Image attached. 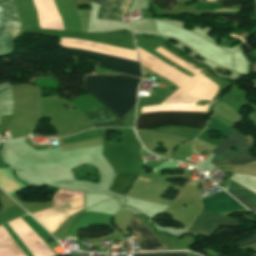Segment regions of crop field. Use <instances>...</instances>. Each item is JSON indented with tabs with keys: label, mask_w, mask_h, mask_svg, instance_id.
Here are the masks:
<instances>
[{
	"label": "crop field",
	"mask_w": 256,
	"mask_h": 256,
	"mask_svg": "<svg viewBox=\"0 0 256 256\" xmlns=\"http://www.w3.org/2000/svg\"><path fill=\"white\" fill-rule=\"evenodd\" d=\"M140 81V78L126 75H94L87 76L81 87L103 102L123 121L136 103Z\"/></svg>",
	"instance_id": "8a807250"
},
{
	"label": "crop field",
	"mask_w": 256,
	"mask_h": 256,
	"mask_svg": "<svg viewBox=\"0 0 256 256\" xmlns=\"http://www.w3.org/2000/svg\"><path fill=\"white\" fill-rule=\"evenodd\" d=\"M206 113L155 112L141 114L136 120V129H153L161 126H184L202 129Z\"/></svg>",
	"instance_id": "ac0d7876"
},
{
	"label": "crop field",
	"mask_w": 256,
	"mask_h": 256,
	"mask_svg": "<svg viewBox=\"0 0 256 256\" xmlns=\"http://www.w3.org/2000/svg\"><path fill=\"white\" fill-rule=\"evenodd\" d=\"M228 140H224L212 153L216 154L211 164L228 160L231 165L249 164L256 161V157H252L249 149V143L245 136L231 129L227 135ZM236 147L237 151L230 150Z\"/></svg>",
	"instance_id": "34b2d1b8"
},
{
	"label": "crop field",
	"mask_w": 256,
	"mask_h": 256,
	"mask_svg": "<svg viewBox=\"0 0 256 256\" xmlns=\"http://www.w3.org/2000/svg\"><path fill=\"white\" fill-rule=\"evenodd\" d=\"M4 3H5V6L9 12L11 18H12V29H11V19L7 13ZM4 3L3 2L0 3V13L4 20V25H3L2 17L0 15V33H1L2 25H3V30H2V34H1V38H0V56L4 55V53H5L6 43H7L8 37H9L10 29H11V33H10V37L8 39V44H7V49H6L5 55L13 54L19 27L21 24V22L17 16V13L15 11V8L12 4V1L11 0L6 1Z\"/></svg>",
	"instance_id": "412701ff"
},
{
	"label": "crop field",
	"mask_w": 256,
	"mask_h": 256,
	"mask_svg": "<svg viewBox=\"0 0 256 256\" xmlns=\"http://www.w3.org/2000/svg\"><path fill=\"white\" fill-rule=\"evenodd\" d=\"M238 224V219L202 211L188 231L210 237L218 226L228 225L235 227Z\"/></svg>",
	"instance_id": "f4fd0767"
},
{
	"label": "crop field",
	"mask_w": 256,
	"mask_h": 256,
	"mask_svg": "<svg viewBox=\"0 0 256 256\" xmlns=\"http://www.w3.org/2000/svg\"><path fill=\"white\" fill-rule=\"evenodd\" d=\"M69 50L73 53H79L81 55L90 56V57H93V54H94L90 52H84V51H78V50H72V49H69ZM93 58L100 60V62L97 64L98 66L142 78L140 67L137 62L113 58V57H109V56H105L97 53L94 54Z\"/></svg>",
	"instance_id": "dd49c442"
},
{
	"label": "crop field",
	"mask_w": 256,
	"mask_h": 256,
	"mask_svg": "<svg viewBox=\"0 0 256 256\" xmlns=\"http://www.w3.org/2000/svg\"><path fill=\"white\" fill-rule=\"evenodd\" d=\"M130 229L140 234L141 251L167 249L135 215L132 216Z\"/></svg>",
	"instance_id": "e52e79f7"
},
{
	"label": "crop field",
	"mask_w": 256,
	"mask_h": 256,
	"mask_svg": "<svg viewBox=\"0 0 256 256\" xmlns=\"http://www.w3.org/2000/svg\"><path fill=\"white\" fill-rule=\"evenodd\" d=\"M202 201L204 210L216 213L245 208L225 192L208 197Z\"/></svg>",
	"instance_id": "d8731c3e"
},
{
	"label": "crop field",
	"mask_w": 256,
	"mask_h": 256,
	"mask_svg": "<svg viewBox=\"0 0 256 256\" xmlns=\"http://www.w3.org/2000/svg\"><path fill=\"white\" fill-rule=\"evenodd\" d=\"M229 190L253 201L256 203V194L252 193L251 191L239 186L237 183L233 182L230 180V186H229ZM228 191L229 194H231L235 199H237L240 203H242L245 207H247L249 210L253 211L254 213H256V204L231 192Z\"/></svg>",
	"instance_id": "5a996713"
},
{
	"label": "crop field",
	"mask_w": 256,
	"mask_h": 256,
	"mask_svg": "<svg viewBox=\"0 0 256 256\" xmlns=\"http://www.w3.org/2000/svg\"><path fill=\"white\" fill-rule=\"evenodd\" d=\"M84 116L92 125L116 119V117L106 107L84 113Z\"/></svg>",
	"instance_id": "3316defc"
},
{
	"label": "crop field",
	"mask_w": 256,
	"mask_h": 256,
	"mask_svg": "<svg viewBox=\"0 0 256 256\" xmlns=\"http://www.w3.org/2000/svg\"><path fill=\"white\" fill-rule=\"evenodd\" d=\"M137 177L133 174H118L114 181L112 186L110 187L111 190H115L118 192H121L125 194V192L128 190L132 180ZM134 181V180H133ZM133 183V182H132ZM132 185V184H131ZM131 187V186H130Z\"/></svg>",
	"instance_id": "28ad6ade"
},
{
	"label": "crop field",
	"mask_w": 256,
	"mask_h": 256,
	"mask_svg": "<svg viewBox=\"0 0 256 256\" xmlns=\"http://www.w3.org/2000/svg\"><path fill=\"white\" fill-rule=\"evenodd\" d=\"M207 128L217 130L218 132L226 135L232 127H230V126H228V125H226V124H224V123H222V122H220L217 119H214L212 117L211 122H210V124Z\"/></svg>",
	"instance_id": "d1516ede"
},
{
	"label": "crop field",
	"mask_w": 256,
	"mask_h": 256,
	"mask_svg": "<svg viewBox=\"0 0 256 256\" xmlns=\"http://www.w3.org/2000/svg\"><path fill=\"white\" fill-rule=\"evenodd\" d=\"M12 97V94H2L0 98ZM13 101L0 102V116L10 114L12 109Z\"/></svg>",
	"instance_id": "22f410ed"
},
{
	"label": "crop field",
	"mask_w": 256,
	"mask_h": 256,
	"mask_svg": "<svg viewBox=\"0 0 256 256\" xmlns=\"http://www.w3.org/2000/svg\"><path fill=\"white\" fill-rule=\"evenodd\" d=\"M133 256H186L185 252L142 253Z\"/></svg>",
	"instance_id": "cbeb9de0"
},
{
	"label": "crop field",
	"mask_w": 256,
	"mask_h": 256,
	"mask_svg": "<svg viewBox=\"0 0 256 256\" xmlns=\"http://www.w3.org/2000/svg\"><path fill=\"white\" fill-rule=\"evenodd\" d=\"M195 9H222L220 3H197Z\"/></svg>",
	"instance_id": "5142ce71"
},
{
	"label": "crop field",
	"mask_w": 256,
	"mask_h": 256,
	"mask_svg": "<svg viewBox=\"0 0 256 256\" xmlns=\"http://www.w3.org/2000/svg\"><path fill=\"white\" fill-rule=\"evenodd\" d=\"M255 242H256V231L250 237L239 241L238 242V247L246 246V245H249V244L255 243Z\"/></svg>",
	"instance_id": "d9b57169"
},
{
	"label": "crop field",
	"mask_w": 256,
	"mask_h": 256,
	"mask_svg": "<svg viewBox=\"0 0 256 256\" xmlns=\"http://www.w3.org/2000/svg\"><path fill=\"white\" fill-rule=\"evenodd\" d=\"M91 1H93V2H95L97 4H101V2H102V0H91Z\"/></svg>",
	"instance_id": "733c2abd"
},
{
	"label": "crop field",
	"mask_w": 256,
	"mask_h": 256,
	"mask_svg": "<svg viewBox=\"0 0 256 256\" xmlns=\"http://www.w3.org/2000/svg\"><path fill=\"white\" fill-rule=\"evenodd\" d=\"M201 1H207V0H201ZM218 1H227V0H218Z\"/></svg>",
	"instance_id": "4a817a6b"
},
{
	"label": "crop field",
	"mask_w": 256,
	"mask_h": 256,
	"mask_svg": "<svg viewBox=\"0 0 256 256\" xmlns=\"http://www.w3.org/2000/svg\"><path fill=\"white\" fill-rule=\"evenodd\" d=\"M0 194L6 195V194H4L1 190H0Z\"/></svg>",
	"instance_id": "bc2a9ffb"
},
{
	"label": "crop field",
	"mask_w": 256,
	"mask_h": 256,
	"mask_svg": "<svg viewBox=\"0 0 256 256\" xmlns=\"http://www.w3.org/2000/svg\"><path fill=\"white\" fill-rule=\"evenodd\" d=\"M188 184H193V183H188ZM194 185H198V184H194Z\"/></svg>",
	"instance_id": "214f88e0"
},
{
	"label": "crop field",
	"mask_w": 256,
	"mask_h": 256,
	"mask_svg": "<svg viewBox=\"0 0 256 256\" xmlns=\"http://www.w3.org/2000/svg\"><path fill=\"white\" fill-rule=\"evenodd\" d=\"M140 179V178H139ZM141 180H144V179H141ZM145 181H148V180H145Z\"/></svg>",
	"instance_id": "92a150f3"
}]
</instances>
